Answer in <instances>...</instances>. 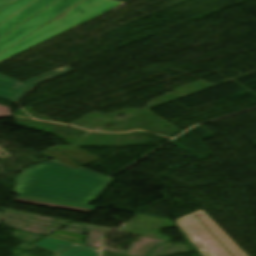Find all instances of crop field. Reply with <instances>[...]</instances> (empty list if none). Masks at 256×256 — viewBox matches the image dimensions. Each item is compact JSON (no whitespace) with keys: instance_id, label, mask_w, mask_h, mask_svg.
<instances>
[{"instance_id":"obj_1","label":"crop field","mask_w":256,"mask_h":256,"mask_svg":"<svg viewBox=\"0 0 256 256\" xmlns=\"http://www.w3.org/2000/svg\"><path fill=\"white\" fill-rule=\"evenodd\" d=\"M125 3L0 0V62Z\"/></svg>"},{"instance_id":"obj_2","label":"crop field","mask_w":256,"mask_h":256,"mask_svg":"<svg viewBox=\"0 0 256 256\" xmlns=\"http://www.w3.org/2000/svg\"><path fill=\"white\" fill-rule=\"evenodd\" d=\"M111 180L84 167L73 169L52 160L18 175L13 193L89 205Z\"/></svg>"},{"instance_id":"obj_3","label":"crop field","mask_w":256,"mask_h":256,"mask_svg":"<svg viewBox=\"0 0 256 256\" xmlns=\"http://www.w3.org/2000/svg\"><path fill=\"white\" fill-rule=\"evenodd\" d=\"M175 221L202 256H246L203 210Z\"/></svg>"},{"instance_id":"obj_4","label":"crop field","mask_w":256,"mask_h":256,"mask_svg":"<svg viewBox=\"0 0 256 256\" xmlns=\"http://www.w3.org/2000/svg\"><path fill=\"white\" fill-rule=\"evenodd\" d=\"M71 71L74 70L66 66L53 72L28 80L24 83L0 75V98L16 102L35 85L69 73Z\"/></svg>"},{"instance_id":"obj_5","label":"crop field","mask_w":256,"mask_h":256,"mask_svg":"<svg viewBox=\"0 0 256 256\" xmlns=\"http://www.w3.org/2000/svg\"><path fill=\"white\" fill-rule=\"evenodd\" d=\"M34 245L55 253V256H95L97 249L80 246L52 238H44Z\"/></svg>"},{"instance_id":"obj_6","label":"crop field","mask_w":256,"mask_h":256,"mask_svg":"<svg viewBox=\"0 0 256 256\" xmlns=\"http://www.w3.org/2000/svg\"><path fill=\"white\" fill-rule=\"evenodd\" d=\"M13 201L59 207V208L72 209V210H79V211H85V212H90L92 210L100 208V207L85 206V205H79V204H73V203H67V202H61V201H55V200H49V199H43V198H37V197H31V196H25V195H21Z\"/></svg>"},{"instance_id":"obj_7","label":"crop field","mask_w":256,"mask_h":256,"mask_svg":"<svg viewBox=\"0 0 256 256\" xmlns=\"http://www.w3.org/2000/svg\"><path fill=\"white\" fill-rule=\"evenodd\" d=\"M53 149L60 151L68 156H71L73 160L83 166L99 159L79 148L73 146H54Z\"/></svg>"},{"instance_id":"obj_8","label":"crop field","mask_w":256,"mask_h":256,"mask_svg":"<svg viewBox=\"0 0 256 256\" xmlns=\"http://www.w3.org/2000/svg\"><path fill=\"white\" fill-rule=\"evenodd\" d=\"M42 152V151H41ZM41 154L45 155V156H48L52 159H55L59 162H62L68 166H71L73 168H79L80 166H78L77 164L73 163L71 158L57 152V151H54V150H47V151H44L42 152Z\"/></svg>"},{"instance_id":"obj_9","label":"crop field","mask_w":256,"mask_h":256,"mask_svg":"<svg viewBox=\"0 0 256 256\" xmlns=\"http://www.w3.org/2000/svg\"><path fill=\"white\" fill-rule=\"evenodd\" d=\"M49 237H53V238H57V239H61V240L81 244V245L83 244V242L86 238L84 236L70 234V233L61 232V231H58V232L50 235Z\"/></svg>"},{"instance_id":"obj_10","label":"crop field","mask_w":256,"mask_h":256,"mask_svg":"<svg viewBox=\"0 0 256 256\" xmlns=\"http://www.w3.org/2000/svg\"><path fill=\"white\" fill-rule=\"evenodd\" d=\"M12 115L10 108L0 105V117Z\"/></svg>"},{"instance_id":"obj_11","label":"crop field","mask_w":256,"mask_h":256,"mask_svg":"<svg viewBox=\"0 0 256 256\" xmlns=\"http://www.w3.org/2000/svg\"><path fill=\"white\" fill-rule=\"evenodd\" d=\"M99 252H100V250H99V251H97V252H95V253H97V254H98L97 256H99Z\"/></svg>"}]
</instances>
